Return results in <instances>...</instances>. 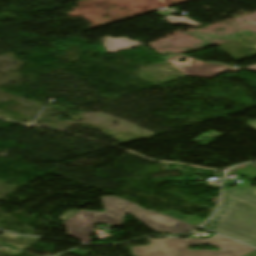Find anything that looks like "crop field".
I'll return each mask as SVG.
<instances>
[{
    "instance_id": "crop-field-9",
    "label": "crop field",
    "mask_w": 256,
    "mask_h": 256,
    "mask_svg": "<svg viewBox=\"0 0 256 256\" xmlns=\"http://www.w3.org/2000/svg\"><path fill=\"white\" fill-rule=\"evenodd\" d=\"M0 246H2V243H0Z\"/></svg>"
},
{
    "instance_id": "crop-field-7",
    "label": "crop field",
    "mask_w": 256,
    "mask_h": 256,
    "mask_svg": "<svg viewBox=\"0 0 256 256\" xmlns=\"http://www.w3.org/2000/svg\"><path fill=\"white\" fill-rule=\"evenodd\" d=\"M248 125L254 129H256V121L249 122Z\"/></svg>"
},
{
    "instance_id": "crop-field-6",
    "label": "crop field",
    "mask_w": 256,
    "mask_h": 256,
    "mask_svg": "<svg viewBox=\"0 0 256 256\" xmlns=\"http://www.w3.org/2000/svg\"><path fill=\"white\" fill-rule=\"evenodd\" d=\"M67 253H72V254H78V255L86 256L89 252H87V251L73 250V251H70V252H67Z\"/></svg>"
},
{
    "instance_id": "crop-field-2",
    "label": "crop field",
    "mask_w": 256,
    "mask_h": 256,
    "mask_svg": "<svg viewBox=\"0 0 256 256\" xmlns=\"http://www.w3.org/2000/svg\"><path fill=\"white\" fill-rule=\"evenodd\" d=\"M150 245L130 247L133 256H243L256 251L250 247L219 236L217 234L206 240L193 239H148ZM210 244L220 251L195 250L191 251L188 246Z\"/></svg>"
},
{
    "instance_id": "crop-field-1",
    "label": "crop field",
    "mask_w": 256,
    "mask_h": 256,
    "mask_svg": "<svg viewBox=\"0 0 256 256\" xmlns=\"http://www.w3.org/2000/svg\"><path fill=\"white\" fill-rule=\"evenodd\" d=\"M102 201L105 212L81 210L67 219L63 223L68 227L67 234L82 242H88L92 239L90 236L95 225L104 224L119 227L122 224L124 213L133 214L157 232L170 234L187 233L195 227L156 212L143 210L138 205L116 196L102 197Z\"/></svg>"
},
{
    "instance_id": "crop-field-3",
    "label": "crop field",
    "mask_w": 256,
    "mask_h": 256,
    "mask_svg": "<svg viewBox=\"0 0 256 256\" xmlns=\"http://www.w3.org/2000/svg\"><path fill=\"white\" fill-rule=\"evenodd\" d=\"M227 194L256 205V189L234 188ZM223 203L238 210L224 220L211 222L209 229L256 247V206L234 200Z\"/></svg>"
},
{
    "instance_id": "crop-field-10",
    "label": "crop field",
    "mask_w": 256,
    "mask_h": 256,
    "mask_svg": "<svg viewBox=\"0 0 256 256\" xmlns=\"http://www.w3.org/2000/svg\"><path fill=\"white\" fill-rule=\"evenodd\" d=\"M252 36H256V34H255V35H252Z\"/></svg>"
},
{
    "instance_id": "crop-field-5",
    "label": "crop field",
    "mask_w": 256,
    "mask_h": 256,
    "mask_svg": "<svg viewBox=\"0 0 256 256\" xmlns=\"http://www.w3.org/2000/svg\"><path fill=\"white\" fill-rule=\"evenodd\" d=\"M76 211H68L67 213L63 214L61 217L58 218V220L65 221L67 218H69L71 215H73Z\"/></svg>"
},
{
    "instance_id": "crop-field-4",
    "label": "crop field",
    "mask_w": 256,
    "mask_h": 256,
    "mask_svg": "<svg viewBox=\"0 0 256 256\" xmlns=\"http://www.w3.org/2000/svg\"><path fill=\"white\" fill-rule=\"evenodd\" d=\"M228 190V189H227ZM224 192V197H223V201L225 199H234V200H238L232 196H229L226 194V191ZM222 201V202H223ZM240 201V200H238ZM236 209H233V208H230V207H227L225 206L224 204H221V208L219 210V212L216 214V216L214 218H212V220H218V219H224L225 217H227L228 215H230L232 212H234Z\"/></svg>"
},
{
    "instance_id": "crop-field-8",
    "label": "crop field",
    "mask_w": 256,
    "mask_h": 256,
    "mask_svg": "<svg viewBox=\"0 0 256 256\" xmlns=\"http://www.w3.org/2000/svg\"><path fill=\"white\" fill-rule=\"evenodd\" d=\"M250 165H252V166H255V167H256V163H254V164H250Z\"/></svg>"
}]
</instances>
